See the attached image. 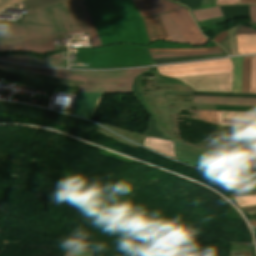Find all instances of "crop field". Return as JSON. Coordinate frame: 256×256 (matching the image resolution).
<instances>
[{
    "mask_svg": "<svg viewBox=\"0 0 256 256\" xmlns=\"http://www.w3.org/2000/svg\"><path fill=\"white\" fill-rule=\"evenodd\" d=\"M59 1H62V0H25L29 11L55 3V2H59Z\"/></svg>",
    "mask_w": 256,
    "mask_h": 256,
    "instance_id": "obj_24",
    "label": "crop field"
},
{
    "mask_svg": "<svg viewBox=\"0 0 256 256\" xmlns=\"http://www.w3.org/2000/svg\"><path fill=\"white\" fill-rule=\"evenodd\" d=\"M148 50L150 54H160V53L214 51V50H221V49L217 46L215 48H207V49H148Z\"/></svg>",
    "mask_w": 256,
    "mask_h": 256,
    "instance_id": "obj_22",
    "label": "crop field"
},
{
    "mask_svg": "<svg viewBox=\"0 0 256 256\" xmlns=\"http://www.w3.org/2000/svg\"><path fill=\"white\" fill-rule=\"evenodd\" d=\"M177 158L183 162L210 169L218 152L188 147L175 142Z\"/></svg>",
    "mask_w": 256,
    "mask_h": 256,
    "instance_id": "obj_8",
    "label": "crop field"
},
{
    "mask_svg": "<svg viewBox=\"0 0 256 256\" xmlns=\"http://www.w3.org/2000/svg\"><path fill=\"white\" fill-rule=\"evenodd\" d=\"M237 2H238V0H217L216 6H218V5H233V4H237Z\"/></svg>",
    "mask_w": 256,
    "mask_h": 256,
    "instance_id": "obj_35",
    "label": "crop field"
},
{
    "mask_svg": "<svg viewBox=\"0 0 256 256\" xmlns=\"http://www.w3.org/2000/svg\"><path fill=\"white\" fill-rule=\"evenodd\" d=\"M169 16L186 43L195 46L208 43V39L201 35L186 9L182 8L171 12Z\"/></svg>",
    "mask_w": 256,
    "mask_h": 256,
    "instance_id": "obj_7",
    "label": "crop field"
},
{
    "mask_svg": "<svg viewBox=\"0 0 256 256\" xmlns=\"http://www.w3.org/2000/svg\"><path fill=\"white\" fill-rule=\"evenodd\" d=\"M176 79L194 91L231 92L232 72Z\"/></svg>",
    "mask_w": 256,
    "mask_h": 256,
    "instance_id": "obj_5",
    "label": "crop field"
},
{
    "mask_svg": "<svg viewBox=\"0 0 256 256\" xmlns=\"http://www.w3.org/2000/svg\"><path fill=\"white\" fill-rule=\"evenodd\" d=\"M101 93H79L74 114L91 119Z\"/></svg>",
    "mask_w": 256,
    "mask_h": 256,
    "instance_id": "obj_12",
    "label": "crop field"
},
{
    "mask_svg": "<svg viewBox=\"0 0 256 256\" xmlns=\"http://www.w3.org/2000/svg\"><path fill=\"white\" fill-rule=\"evenodd\" d=\"M171 42L184 43L168 14L159 16Z\"/></svg>",
    "mask_w": 256,
    "mask_h": 256,
    "instance_id": "obj_18",
    "label": "crop field"
},
{
    "mask_svg": "<svg viewBox=\"0 0 256 256\" xmlns=\"http://www.w3.org/2000/svg\"><path fill=\"white\" fill-rule=\"evenodd\" d=\"M227 152L251 153L249 128L224 127Z\"/></svg>",
    "mask_w": 256,
    "mask_h": 256,
    "instance_id": "obj_9",
    "label": "crop field"
},
{
    "mask_svg": "<svg viewBox=\"0 0 256 256\" xmlns=\"http://www.w3.org/2000/svg\"><path fill=\"white\" fill-rule=\"evenodd\" d=\"M235 158H236V155L219 152L216 160L235 162ZM219 161L214 162V164L211 168L212 171L217 172L219 165L241 168V169H247V170H249V168H250V165H247V164L228 163V162H219Z\"/></svg>",
    "mask_w": 256,
    "mask_h": 256,
    "instance_id": "obj_16",
    "label": "crop field"
},
{
    "mask_svg": "<svg viewBox=\"0 0 256 256\" xmlns=\"http://www.w3.org/2000/svg\"><path fill=\"white\" fill-rule=\"evenodd\" d=\"M1 67H7V66H1ZM20 67H24V66H20ZM7 68H13V67H7ZM26 68H30V67H26ZM13 69H19V68H13ZM32 69L65 73L69 75L64 76V75L37 72V71H31V70H26V71H30V73H33V74L71 79L75 81H85V86L80 85L79 92L129 93L131 92L133 79L149 68L138 69V70L110 71V72H74V71H60V70H51V69H39V68H32ZM20 70H25V69H20Z\"/></svg>",
    "mask_w": 256,
    "mask_h": 256,
    "instance_id": "obj_3",
    "label": "crop field"
},
{
    "mask_svg": "<svg viewBox=\"0 0 256 256\" xmlns=\"http://www.w3.org/2000/svg\"><path fill=\"white\" fill-rule=\"evenodd\" d=\"M160 75L170 78L232 71L229 59L156 67Z\"/></svg>",
    "mask_w": 256,
    "mask_h": 256,
    "instance_id": "obj_4",
    "label": "crop field"
},
{
    "mask_svg": "<svg viewBox=\"0 0 256 256\" xmlns=\"http://www.w3.org/2000/svg\"><path fill=\"white\" fill-rule=\"evenodd\" d=\"M252 213H256V211H253V212H249L248 214H252Z\"/></svg>",
    "mask_w": 256,
    "mask_h": 256,
    "instance_id": "obj_43",
    "label": "crop field"
},
{
    "mask_svg": "<svg viewBox=\"0 0 256 256\" xmlns=\"http://www.w3.org/2000/svg\"><path fill=\"white\" fill-rule=\"evenodd\" d=\"M249 178L256 180V168H252L251 169V173H250V177Z\"/></svg>",
    "mask_w": 256,
    "mask_h": 256,
    "instance_id": "obj_40",
    "label": "crop field"
},
{
    "mask_svg": "<svg viewBox=\"0 0 256 256\" xmlns=\"http://www.w3.org/2000/svg\"><path fill=\"white\" fill-rule=\"evenodd\" d=\"M236 161L252 163V167H256V155H237Z\"/></svg>",
    "mask_w": 256,
    "mask_h": 256,
    "instance_id": "obj_28",
    "label": "crop field"
},
{
    "mask_svg": "<svg viewBox=\"0 0 256 256\" xmlns=\"http://www.w3.org/2000/svg\"><path fill=\"white\" fill-rule=\"evenodd\" d=\"M239 54L256 53V36H237Z\"/></svg>",
    "mask_w": 256,
    "mask_h": 256,
    "instance_id": "obj_17",
    "label": "crop field"
},
{
    "mask_svg": "<svg viewBox=\"0 0 256 256\" xmlns=\"http://www.w3.org/2000/svg\"><path fill=\"white\" fill-rule=\"evenodd\" d=\"M250 93H256V57H252Z\"/></svg>",
    "mask_w": 256,
    "mask_h": 256,
    "instance_id": "obj_27",
    "label": "crop field"
},
{
    "mask_svg": "<svg viewBox=\"0 0 256 256\" xmlns=\"http://www.w3.org/2000/svg\"><path fill=\"white\" fill-rule=\"evenodd\" d=\"M101 44H148L131 0H85ZM84 0H66L23 15V22L0 23V53H50L57 35L89 32L92 47L101 46Z\"/></svg>",
    "mask_w": 256,
    "mask_h": 256,
    "instance_id": "obj_1",
    "label": "crop field"
},
{
    "mask_svg": "<svg viewBox=\"0 0 256 256\" xmlns=\"http://www.w3.org/2000/svg\"><path fill=\"white\" fill-rule=\"evenodd\" d=\"M192 14L197 19V21L222 16L221 13H220L219 7L211 8V9H205V10H199V11H193Z\"/></svg>",
    "mask_w": 256,
    "mask_h": 256,
    "instance_id": "obj_21",
    "label": "crop field"
},
{
    "mask_svg": "<svg viewBox=\"0 0 256 256\" xmlns=\"http://www.w3.org/2000/svg\"><path fill=\"white\" fill-rule=\"evenodd\" d=\"M252 153H256V128H250Z\"/></svg>",
    "mask_w": 256,
    "mask_h": 256,
    "instance_id": "obj_31",
    "label": "crop field"
},
{
    "mask_svg": "<svg viewBox=\"0 0 256 256\" xmlns=\"http://www.w3.org/2000/svg\"><path fill=\"white\" fill-rule=\"evenodd\" d=\"M94 252L67 251L65 256H93Z\"/></svg>",
    "mask_w": 256,
    "mask_h": 256,
    "instance_id": "obj_32",
    "label": "crop field"
},
{
    "mask_svg": "<svg viewBox=\"0 0 256 256\" xmlns=\"http://www.w3.org/2000/svg\"><path fill=\"white\" fill-rule=\"evenodd\" d=\"M248 191H256V187L255 186H249Z\"/></svg>",
    "mask_w": 256,
    "mask_h": 256,
    "instance_id": "obj_41",
    "label": "crop field"
},
{
    "mask_svg": "<svg viewBox=\"0 0 256 256\" xmlns=\"http://www.w3.org/2000/svg\"><path fill=\"white\" fill-rule=\"evenodd\" d=\"M252 226H256V222H250Z\"/></svg>",
    "mask_w": 256,
    "mask_h": 256,
    "instance_id": "obj_42",
    "label": "crop field"
},
{
    "mask_svg": "<svg viewBox=\"0 0 256 256\" xmlns=\"http://www.w3.org/2000/svg\"><path fill=\"white\" fill-rule=\"evenodd\" d=\"M231 60L234 63L233 92L240 93L242 57Z\"/></svg>",
    "mask_w": 256,
    "mask_h": 256,
    "instance_id": "obj_20",
    "label": "crop field"
},
{
    "mask_svg": "<svg viewBox=\"0 0 256 256\" xmlns=\"http://www.w3.org/2000/svg\"><path fill=\"white\" fill-rule=\"evenodd\" d=\"M19 0H0V10Z\"/></svg>",
    "mask_w": 256,
    "mask_h": 256,
    "instance_id": "obj_36",
    "label": "crop field"
},
{
    "mask_svg": "<svg viewBox=\"0 0 256 256\" xmlns=\"http://www.w3.org/2000/svg\"><path fill=\"white\" fill-rule=\"evenodd\" d=\"M227 36H228L227 31H226V32H223V33L219 34L217 37H215V38L213 39V41H215V42L218 43V42L222 41L223 39H225Z\"/></svg>",
    "mask_w": 256,
    "mask_h": 256,
    "instance_id": "obj_37",
    "label": "crop field"
},
{
    "mask_svg": "<svg viewBox=\"0 0 256 256\" xmlns=\"http://www.w3.org/2000/svg\"><path fill=\"white\" fill-rule=\"evenodd\" d=\"M223 52H210V53H186V54H162V55H151L153 59L159 58H172V57H185V56H198V55H210L220 54Z\"/></svg>",
    "mask_w": 256,
    "mask_h": 256,
    "instance_id": "obj_25",
    "label": "crop field"
},
{
    "mask_svg": "<svg viewBox=\"0 0 256 256\" xmlns=\"http://www.w3.org/2000/svg\"><path fill=\"white\" fill-rule=\"evenodd\" d=\"M61 53L62 51L46 56L42 59H38L30 56H6V57H0V60L28 63V64H34V65H42V66L66 67L67 61L61 60Z\"/></svg>",
    "mask_w": 256,
    "mask_h": 256,
    "instance_id": "obj_11",
    "label": "crop field"
},
{
    "mask_svg": "<svg viewBox=\"0 0 256 256\" xmlns=\"http://www.w3.org/2000/svg\"><path fill=\"white\" fill-rule=\"evenodd\" d=\"M192 118L219 125V112L190 111ZM220 125L256 127V113L220 112Z\"/></svg>",
    "mask_w": 256,
    "mask_h": 256,
    "instance_id": "obj_6",
    "label": "crop field"
},
{
    "mask_svg": "<svg viewBox=\"0 0 256 256\" xmlns=\"http://www.w3.org/2000/svg\"><path fill=\"white\" fill-rule=\"evenodd\" d=\"M132 2L141 17L158 15L181 7L166 0H132Z\"/></svg>",
    "mask_w": 256,
    "mask_h": 256,
    "instance_id": "obj_10",
    "label": "crop field"
},
{
    "mask_svg": "<svg viewBox=\"0 0 256 256\" xmlns=\"http://www.w3.org/2000/svg\"><path fill=\"white\" fill-rule=\"evenodd\" d=\"M240 207L256 205V196L233 198Z\"/></svg>",
    "mask_w": 256,
    "mask_h": 256,
    "instance_id": "obj_26",
    "label": "crop field"
},
{
    "mask_svg": "<svg viewBox=\"0 0 256 256\" xmlns=\"http://www.w3.org/2000/svg\"><path fill=\"white\" fill-rule=\"evenodd\" d=\"M238 4H256V0H239Z\"/></svg>",
    "mask_w": 256,
    "mask_h": 256,
    "instance_id": "obj_38",
    "label": "crop field"
},
{
    "mask_svg": "<svg viewBox=\"0 0 256 256\" xmlns=\"http://www.w3.org/2000/svg\"><path fill=\"white\" fill-rule=\"evenodd\" d=\"M249 195H254V192H250V193H234V194H232L233 197L249 196Z\"/></svg>",
    "mask_w": 256,
    "mask_h": 256,
    "instance_id": "obj_39",
    "label": "crop field"
},
{
    "mask_svg": "<svg viewBox=\"0 0 256 256\" xmlns=\"http://www.w3.org/2000/svg\"><path fill=\"white\" fill-rule=\"evenodd\" d=\"M250 21L256 23V6H249Z\"/></svg>",
    "mask_w": 256,
    "mask_h": 256,
    "instance_id": "obj_34",
    "label": "crop field"
},
{
    "mask_svg": "<svg viewBox=\"0 0 256 256\" xmlns=\"http://www.w3.org/2000/svg\"><path fill=\"white\" fill-rule=\"evenodd\" d=\"M220 9L225 23L236 18H249L248 6H224Z\"/></svg>",
    "mask_w": 256,
    "mask_h": 256,
    "instance_id": "obj_15",
    "label": "crop field"
},
{
    "mask_svg": "<svg viewBox=\"0 0 256 256\" xmlns=\"http://www.w3.org/2000/svg\"><path fill=\"white\" fill-rule=\"evenodd\" d=\"M192 103L256 106V98L193 96Z\"/></svg>",
    "mask_w": 256,
    "mask_h": 256,
    "instance_id": "obj_13",
    "label": "crop field"
},
{
    "mask_svg": "<svg viewBox=\"0 0 256 256\" xmlns=\"http://www.w3.org/2000/svg\"><path fill=\"white\" fill-rule=\"evenodd\" d=\"M193 95H205V96H231V97H256V95H247V94H211V93H193Z\"/></svg>",
    "mask_w": 256,
    "mask_h": 256,
    "instance_id": "obj_30",
    "label": "crop field"
},
{
    "mask_svg": "<svg viewBox=\"0 0 256 256\" xmlns=\"http://www.w3.org/2000/svg\"><path fill=\"white\" fill-rule=\"evenodd\" d=\"M215 111L256 112V107L216 105Z\"/></svg>",
    "mask_w": 256,
    "mask_h": 256,
    "instance_id": "obj_23",
    "label": "crop field"
},
{
    "mask_svg": "<svg viewBox=\"0 0 256 256\" xmlns=\"http://www.w3.org/2000/svg\"><path fill=\"white\" fill-rule=\"evenodd\" d=\"M147 48L192 47L158 42L148 46L117 44L93 50L76 49L75 60H69V63L89 64V66H69V68L110 69L154 64ZM70 52H75V49H71Z\"/></svg>",
    "mask_w": 256,
    "mask_h": 256,
    "instance_id": "obj_2",
    "label": "crop field"
},
{
    "mask_svg": "<svg viewBox=\"0 0 256 256\" xmlns=\"http://www.w3.org/2000/svg\"><path fill=\"white\" fill-rule=\"evenodd\" d=\"M251 57H243L241 93H249Z\"/></svg>",
    "mask_w": 256,
    "mask_h": 256,
    "instance_id": "obj_19",
    "label": "crop field"
},
{
    "mask_svg": "<svg viewBox=\"0 0 256 256\" xmlns=\"http://www.w3.org/2000/svg\"><path fill=\"white\" fill-rule=\"evenodd\" d=\"M237 35H256V30L249 29L242 25L236 26Z\"/></svg>",
    "mask_w": 256,
    "mask_h": 256,
    "instance_id": "obj_29",
    "label": "crop field"
},
{
    "mask_svg": "<svg viewBox=\"0 0 256 256\" xmlns=\"http://www.w3.org/2000/svg\"><path fill=\"white\" fill-rule=\"evenodd\" d=\"M221 170H226V171H231V172H235V173H240V174H245L247 175L249 171L246 170H240V169H234V168H228V167H222L220 166Z\"/></svg>",
    "mask_w": 256,
    "mask_h": 256,
    "instance_id": "obj_33",
    "label": "crop field"
},
{
    "mask_svg": "<svg viewBox=\"0 0 256 256\" xmlns=\"http://www.w3.org/2000/svg\"><path fill=\"white\" fill-rule=\"evenodd\" d=\"M142 20L150 43L157 40L169 41L168 36L158 16L145 18Z\"/></svg>",
    "mask_w": 256,
    "mask_h": 256,
    "instance_id": "obj_14",
    "label": "crop field"
}]
</instances>
